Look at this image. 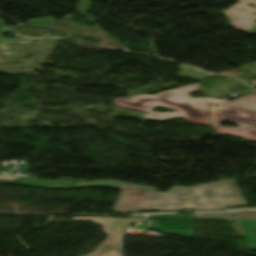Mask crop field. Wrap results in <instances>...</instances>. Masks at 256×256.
Returning <instances> with one entry per match:
<instances>
[{"instance_id": "8a807250", "label": "crop field", "mask_w": 256, "mask_h": 256, "mask_svg": "<svg viewBox=\"0 0 256 256\" xmlns=\"http://www.w3.org/2000/svg\"><path fill=\"white\" fill-rule=\"evenodd\" d=\"M75 187L121 189V195L113 209L117 212L220 210L224 207L246 205L237 185L232 180H222L192 188L174 187L173 190L164 194L154 192L153 188L114 181L75 184Z\"/></svg>"}, {"instance_id": "22f410ed", "label": "crop field", "mask_w": 256, "mask_h": 256, "mask_svg": "<svg viewBox=\"0 0 256 256\" xmlns=\"http://www.w3.org/2000/svg\"><path fill=\"white\" fill-rule=\"evenodd\" d=\"M0 179L14 181V177H11V176H2V175H0Z\"/></svg>"}, {"instance_id": "5142ce71", "label": "crop field", "mask_w": 256, "mask_h": 256, "mask_svg": "<svg viewBox=\"0 0 256 256\" xmlns=\"http://www.w3.org/2000/svg\"><path fill=\"white\" fill-rule=\"evenodd\" d=\"M0 15H1V13H0ZM0 25H2L3 27L8 28V29L14 31L12 28H9V27L4 26V25H3V21H1V20H0Z\"/></svg>"}, {"instance_id": "ac0d7876", "label": "crop field", "mask_w": 256, "mask_h": 256, "mask_svg": "<svg viewBox=\"0 0 256 256\" xmlns=\"http://www.w3.org/2000/svg\"><path fill=\"white\" fill-rule=\"evenodd\" d=\"M200 83L158 93L155 96L138 95L114 99V105L149 113L146 118L166 120L174 117L186 119L190 124L209 126L208 103L227 105L210 98L192 99L189 93L200 89ZM161 106L179 111L176 114L151 112ZM228 106V105H227Z\"/></svg>"}, {"instance_id": "dd49c442", "label": "crop field", "mask_w": 256, "mask_h": 256, "mask_svg": "<svg viewBox=\"0 0 256 256\" xmlns=\"http://www.w3.org/2000/svg\"><path fill=\"white\" fill-rule=\"evenodd\" d=\"M229 105L235 108H242L256 111V94L235 99Z\"/></svg>"}, {"instance_id": "5a996713", "label": "crop field", "mask_w": 256, "mask_h": 256, "mask_svg": "<svg viewBox=\"0 0 256 256\" xmlns=\"http://www.w3.org/2000/svg\"><path fill=\"white\" fill-rule=\"evenodd\" d=\"M52 21H56V20L54 18L36 19V20L29 21L25 25L38 24V23H43V22H52Z\"/></svg>"}, {"instance_id": "e52e79f7", "label": "crop field", "mask_w": 256, "mask_h": 256, "mask_svg": "<svg viewBox=\"0 0 256 256\" xmlns=\"http://www.w3.org/2000/svg\"><path fill=\"white\" fill-rule=\"evenodd\" d=\"M18 182L21 183H32V184H42L46 186H70L73 185L71 181H44L36 179H26L18 177Z\"/></svg>"}, {"instance_id": "3316defc", "label": "crop field", "mask_w": 256, "mask_h": 256, "mask_svg": "<svg viewBox=\"0 0 256 256\" xmlns=\"http://www.w3.org/2000/svg\"><path fill=\"white\" fill-rule=\"evenodd\" d=\"M21 186H29V187H38V188H44V189H73V187H65V188H50V187H45V186H36V185H26V184H19Z\"/></svg>"}, {"instance_id": "f4fd0767", "label": "crop field", "mask_w": 256, "mask_h": 256, "mask_svg": "<svg viewBox=\"0 0 256 256\" xmlns=\"http://www.w3.org/2000/svg\"><path fill=\"white\" fill-rule=\"evenodd\" d=\"M250 2L256 5V0H240L235 6L224 13L232 19L233 22L231 25L243 31L253 28V24L256 21V10L245 6ZM235 19L238 20L235 21Z\"/></svg>"}, {"instance_id": "34b2d1b8", "label": "crop field", "mask_w": 256, "mask_h": 256, "mask_svg": "<svg viewBox=\"0 0 256 256\" xmlns=\"http://www.w3.org/2000/svg\"><path fill=\"white\" fill-rule=\"evenodd\" d=\"M211 104V126L219 134L256 140V112ZM222 120L241 125L239 128H221Z\"/></svg>"}, {"instance_id": "d8731c3e", "label": "crop field", "mask_w": 256, "mask_h": 256, "mask_svg": "<svg viewBox=\"0 0 256 256\" xmlns=\"http://www.w3.org/2000/svg\"><path fill=\"white\" fill-rule=\"evenodd\" d=\"M242 226L245 236L256 238V221H242Z\"/></svg>"}, {"instance_id": "cbeb9de0", "label": "crop field", "mask_w": 256, "mask_h": 256, "mask_svg": "<svg viewBox=\"0 0 256 256\" xmlns=\"http://www.w3.org/2000/svg\"><path fill=\"white\" fill-rule=\"evenodd\" d=\"M1 184H11V185H15V183L13 182H3V181H0Z\"/></svg>"}, {"instance_id": "d1516ede", "label": "crop field", "mask_w": 256, "mask_h": 256, "mask_svg": "<svg viewBox=\"0 0 256 256\" xmlns=\"http://www.w3.org/2000/svg\"><path fill=\"white\" fill-rule=\"evenodd\" d=\"M6 32L5 30H0V40H3V41H7V42H16V41H23V42H26L25 39L23 38H16L15 40H11V39H3L1 38V34Z\"/></svg>"}, {"instance_id": "28ad6ade", "label": "crop field", "mask_w": 256, "mask_h": 256, "mask_svg": "<svg viewBox=\"0 0 256 256\" xmlns=\"http://www.w3.org/2000/svg\"><path fill=\"white\" fill-rule=\"evenodd\" d=\"M245 239H246L248 248L256 249V240L247 239V238H245Z\"/></svg>"}, {"instance_id": "412701ff", "label": "crop field", "mask_w": 256, "mask_h": 256, "mask_svg": "<svg viewBox=\"0 0 256 256\" xmlns=\"http://www.w3.org/2000/svg\"><path fill=\"white\" fill-rule=\"evenodd\" d=\"M74 221H94L103 225V231L108 238L97 249L86 256H120L119 241L123 233L140 219H116L101 217L73 218Z\"/></svg>"}]
</instances>
